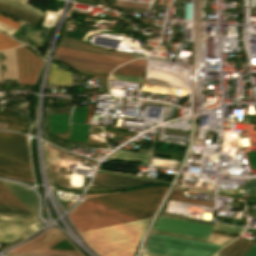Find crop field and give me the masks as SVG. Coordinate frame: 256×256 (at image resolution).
I'll use <instances>...</instances> for the list:
<instances>
[{"mask_svg":"<svg viewBox=\"0 0 256 256\" xmlns=\"http://www.w3.org/2000/svg\"><path fill=\"white\" fill-rule=\"evenodd\" d=\"M0 30L4 31L10 35L15 31V29L5 26L3 24H0Z\"/></svg>","mask_w":256,"mask_h":256,"instance_id":"crop-field-27","label":"crop field"},{"mask_svg":"<svg viewBox=\"0 0 256 256\" xmlns=\"http://www.w3.org/2000/svg\"><path fill=\"white\" fill-rule=\"evenodd\" d=\"M0 174L33 181L27 136L0 132Z\"/></svg>","mask_w":256,"mask_h":256,"instance_id":"crop-field-4","label":"crop field"},{"mask_svg":"<svg viewBox=\"0 0 256 256\" xmlns=\"http://www.w3.org/2000/svg\"><path fill=\"white\" fill-rule=\"evenodd\" d=\"M15 53L18 82L34 83L42 60L25 47H16Z\"/></svg>","mask_w":256,"mask_h":256,"instance_id":"crop-field-7","label":"crop field"},{"mask_svg":"<svg viewBox=\"0 0 256 256\" xmlns=\"http://www.w3.org/2000/svg\"><path fill=\"white\" fill-rule=\"evenodd\" d=\"M110 79L136 82V83H141V80H142V78H134V77L121 76V75H114V74L110 75Z\"/></svg>","mask_w":256,"mask_h":256,"instance_id":"crop-field-23","label":"crop field"},{"mask_svg":"<svg viewBox=\"0 0 256 256\" xmlns=\"http://www.w3.org/2000/svg\"><path fill=\"white\" fill-rule=\"evenodd\" d=\"M221 247L222 245L151 233L145 251L169 256H212Z\"/></svg>","mask_w":256,"mask_h":256,"instance_id":"crop-field-5","label":"crop field"},{"mask_svg":"<svg viewBox=\"0 0 256 256\" xmlns=\"http://www.w3.org/2000/svg\"><path fill=\"white\" fill-rule=\"evenodd\" d=\"M57 65L51 63L48 83L71 84V73L68 71L56 70Z\"/></svg>","mask_w":256,"mask_h":256,"instance_id":"crop-field-15","label":"crop field"},{"mask_svg":"<svg viewBox=\"0 0 256 256\" xmlns=\"http://www.w3.org/2000/svg\"><path fill=\"white\" fill-rule=\"evenodd\" d=\"M17 45H20V44L13 41L11 38L5 36L4 34L0 33V50L11 48Z\"/></svg>","mask_w":256,"mask_h":256,"instance_id":"crop-field-21","label":"crop field"},{"mask_svg":"<svg viewBox=\"0 0 256 256\" xmlns=\"http://www.w3.org/2000/svg\"><path fill=\"white\" fill-rule=\"evenodd\" d=\"M215 229L240 234L245 228L217 223Z\"/></svg>","mask_w":256,"mask_h":256,"instance_id":"crop-field-20","label":"crop field"},{"mask_svg":"<svg viewBox=\"0 0 256 256\" xmlns=\"http://www.w3.org/2000/svg\"><path fill=\"white\" fill-rule=\"evenodd\" d=\"M160 215H161V216H167V217L178 218V219L189 220V221L201 222V223H206V224H212V225L215 224V223H213V222L202 221V220H197V219H192V218H186V217H181V216H176V215H170V214H165V213H161Z\"/></svg>","mask_w":256,"mask_h":256,"instance_id":"crop-field-24","label":"crop field"},{"mask_svg":"<svg viewBox=\"0 0 256 256\" xmlns=\"http://www.w3.org/2000/svg\"><path fill=\"white\" fill-rule=\"evenodd\" d=\"M214 226L159 216L153 229L208 239Z\"/></svg>","mask_w":256,"mask_h":256,"instance_id":"crop-field-6","label":"crop field"},{"mask_svg":"<svg viewBox=\"0 0 256 256\" xmlns=\"http://www.w3.org/2000/svg\"><path fill=\"white\" fill-rule=\"evenodd\" d=\"M8 256H55V255H37V254H18V253H9Z\"/></svg>","mask_w":256,"mask_h":256,"instance_id":"crop-field-28","label":"crop field"},{"mask_svg":"<svg viewBox=\"0 0 256 256\" xmlns=\"http://www.w3.org/2000/svg\"><path fill=\"white\" fill-rule=\"evenodd\" d=\"M151 232L159 233V234H165V235H170V236H176V237H182V238H188V239H193V240L205 241V242H210V243L222 244V245H226L230 241L233 240L232 238H226V237H220V236H214V235H211L209 240H205V239H199V238L182 236V235L171 234V233L160 232V231H154V230H152Z\"/></svg>","mask_w":256,"mask_h":256,"instance_id":"crop-field-17","label":"crop field"},{"mask_svg":"<svg viewBox=\"0 0 256 256\" xmlns=\"http://www.w3.org/2000/svg\"><path fill=\"white\" fill-rule=\"evenodd\" d=\"M56 53L63 54V55L76 56L81 58H87L92 60H98V61L114 62V63H124L126 61L132 60V58H123V57L94 54V53L74 50L70 48H65L61 46L58 47V50Z\"/></svg>","mask_w":256,"mask_h":256,"instance_id":"crop-field-10","label":"crop field"},{"mask_svg":"<svg viewBox=\"0 0 256 256\" xmlns=\"http://www.w3.org/2000/svg\"><path fill=\"white\" fill-rule=\"evenodd\" d=\"M145 62H146V60L140 59V60H137V61H134V62H130V63H127V64L144 66V65H145Z\"/></svg>","mask_w":256,"mask_h":256,"instance_id":"crop-field-29","label":"crop field"},{"mask_svg":"<svg viewBox=\"0 0 256 256\" xmlns=\"http://www.w3.org/2000/svg\"><path fill=\"white\" fill-rule=\"evenodd\" d=\"M68 67L72 69H79V70H90V71H98V72H106L109 73L114 67H107V66H97V65H88V64H80V63H73L67 61H61Z\"/></svg>","mask_w":256,"mask_h":256,"instance_id":"crop-field-16","label":"crop field"},{"mask_svg":"<svg viewBox=\"0 0 256 256\" xmlns=\"http://www.w3.org/2000/svg\"><path fill=\"white\" fill-rule=\"evenodd\" d=\"M54 58L61 59V60H67V61L80 62V63L107 65V66H114V67H117L118 65H120V64H114V63L92 61V60L81 59V58L70 57V56H63V55H58V54H55Z\"/></svg>","mask_w":256,"mask_h":256,"instance_id":"crop-field-19","label":"crop field"},{"mask_svg":"<svg viewBox=\"0 0 256 256\" xmlns=\"http://www.w3.org/2000/svg\"><path fill=\"white\" fill-rule=\"evenodd\" d=\"M166 189L153 187L87 199L70 217L79 232L149 218Z\"/></svg>","mask_w":256,"mask_h":256,"instance_id":"crop-field-1","label":"crop field"},{"mask_svg":"<svg viewBox=\"0 0 256 256\" xmlns=\"http://www.w3.org/2000/svg\"><path fill=\"white\" fill-rule=\"evenodd\" d=\"M98 173H100V174H107V175H114V176H121V177H128V178H136V179L150 180V181H157V182L168 183V184L170 183V182H167V181H160V180L139 178V177H135V176H133V175H127V174H121V173H115V172H109V171H103V170H99Z\"/></svg>","mask_w":256,"mask_h":256,"instance_id":"crop-field-22","label":"crop field"},{"mask_svg":"<svg viewBox=\"0 0 256 256\" xmlns=\"http://www.w3.org/2000/svg\"><path fill=\"white\" fill-rule=\"evenodd\" d=\"M215 256H217V255H215Z\"/></svg>","mask_w":256,"mask_h":256,"instance_id":"crop-field-33","label":"crop field"},{"mask_svg":"<svg viewBox=\"0 0 256 256\" xmlns=\"http://www.w3.org/2000/svg\"><path fill=\"white\" fill-rule=\"evenodd\" d=\"M246 256H256V243L254 246L250 249L249 253Z\"/></svg>","mask_w":256,"mask_h":256,"instance_id":"crop-field-30","label":"crop field"},{"mask_svg":"<svg viewBox=\"0 0 256 256\" xmlns=\"http://www.w3.org/2000/svg\"><path fill=\"white\" fill-rule=\"evenodd\" d=\"M149 219L82 232L100 256H133Z\"/></svg>","mask_w":256,"mask_h":256,"instance_id":"crop-field-2","label":"crop field"},{"mask_svg":"<svg viewBox=\"0 0 256 256\" xmlns=\"http://www.w3.org/2000/svg\"><path fill=\"white\" fill-rule=\"evenodd\" d=\"M0 1H2L4 3H7V4L11 5V6H14L16 8H19V9H21L23 11L28 12V13H31V14H33L35 16L40 17V18H42V16H43L42 12H40V11L30 7L29 5H27L26 4L27 0H0Z\"/></svg>","mask_w":256,"mask_h":256,"instance_id":"crop-field-18","label":"crop field"},{"mask_svg":"<svg viewBox=\"0 0 256 256\" xmlns=\"http://www.w3.org/2000/svg\"><path fill=\"white\" fill-rule=\"evenodd\" d=\"M0 212L31 214L1 182Z\"/></svg>","mask_w":256,"mask_h":256,"instance_id":"crop-field-8","label":"crop field"},{"mask_svg":"<svg viewBox=\"0 0 256 256\" xmlns=\"http://www.w3.org/2000/svg\"><path fill=\"white\" fill-rule=\"evenodd\" d=\"M144 256H164V255H158V254H153V253L145 252Z\"/></svg>","mask_w":256,"mask_h":256,"instance_id":"crop-field-32","label":"crop field"},{"mask_svg":"<svg viewBox=\"0 0 256 256\" xmlns=\"http://www.w3.org/2000/svg\"><path fill=\"white\" fill-rule=\"evenodd\" d=\"M93 182L98 183L99 186H105V187H111V188H117V189L137 186L145 183H154V182L120 178V177L100 175V174H96Z\"/></svg>","mask_w":256,"mask_h":256,"instance_id":"crop-field-9","label":"crop field"},{"mask_svg":"<svg viewBox=\"0 0 256 256\" xmlns=\"http://www.w3.org/2000/svg\"><path fill=\"white\" fill-rule=\"evenodd\" d=\"M2 183L33 215L0 213V219L39 222L37 219V197L35 193L31 190H25L20 185L7 182ZM5 220H0V242L11 243L19 237L25 238L39 229L34 225L35 223L33 222ZM37 224L40 225L41 223Z\"/></svg>","mask_w":256,"mask_h":256,"instance_id":"crop-field-3","label":"crop field"},{"mask_svg":"<svg viewBox=\"0 0 256 256\" xmlns=\"http://www.w3.org/2000/svg\"><path fill=\"white\" fill-rule=\"evenodd\" d=\"M115 5L147 8V4L116 1Z\"/></svg>","mask_w":256,"mask_h":256,"instance_id":"crop-field-25","label":"crop field"},{"mask_svg":"<svg viewBox=\"0 0 256 256\" xmlns=\"http://www.w3.org/2000/svg\"><path fill=\"white\" fill-rule=\"evenodd\" d=\"M149 154H144L135 151L118 149L112 156L108 159L110 160H121V161H139L140 163L146 165Z\"/></svg>","mask_w":256,"mask_h":256,"instance_id":"crop-field-13","label":"crop field"},{"mask_svg":"<svg viewBox=\"0 0 256 256\" xmlns=\"http://www.w3.org/2000/svg\"><path fill=\"white\" fill-rule=\"evenodd\" d=\"M123 68H131V69H139V70H143L144 67H140V66H131V65H123L121 66Z\"/></svg>","mask_w":256,"mask_h":256,"instance_id":"crop-field-31","label":"crop field"},{"mask_svg":"<svg viewBox=\"0 0 256 256\" xmlns=\"http://www.w3.org/2000/svg\"><path fill=\"white\" fill-rule=\"evenodd\" d=\"M0 23H3L5 25H8V26L13 27L15 29H17V27L19 26V23L14 22L12 20H9V19H7L5 17H2V16H0Z\"/></svg>","mask_w":256,"mask_h":256,"instance_id":"crop-field-26","label":"crop field"},{"mask_svg":"<svg viewBox=\"0 0 256 256\" xmlns=\"http://www.w3.org/2000/svg\"><path fill=\"white\" fill-rule=\"evenodd\" d=\"M0 12L36 26L40 18L0 2Z\"/></svg>","mask_w":256,"mask_h":256,"instance_id":"crop-field-14","label":"crop field"},{"mask_svg":"<svg viewBox=\"0 0 256 256\" xmlns=\"http://www.w3.org/2000/svg\"><path fill=\"white\" fill-rule=\"evenodd\" d=\"M254 241L239 237L217 253L219 256H245Z\"/></svg>","mask_w":256,"mask_h":256,"instance_id":"crop-field-11","label":"crop field"},{"mask_svg":"<svg viewBox=\"0 0 256 256\" xmlns=\"http://www.w3.org/2000/svg\"><path fill=\"white\" fill-rule=\"evenodd\" d=\"M60 45L65 46V47L74 48V49L94 52V53L106 54V55L139 58V56H137V55L104 51V50H101V49H98V48L90 47V46L84 45L82 43L75 42V41L68 40V39H64V38H63Z\"/></svg>","mask_w":256,"mask_h":256,"instance_id":"crop-field-12","label":"crop field"}]
</instances>
